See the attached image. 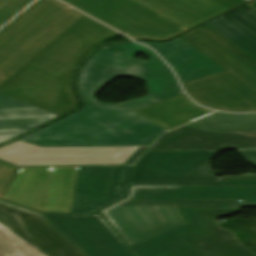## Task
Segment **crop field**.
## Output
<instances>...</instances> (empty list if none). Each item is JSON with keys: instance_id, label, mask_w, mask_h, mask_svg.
I'll return each instance as SVG.
<instances>
[{"instance_id": "8a807250", "label": "crop field", "mask_w": 256, "mask_h": 256, "mask_svg": "<svg viewBox=\"0 0 256 256\" xmlns=\"http://www.w3.org/2000/svg\"><path fill=\"white\" fill-rule=\"evenodd\" d=\"M247 206H256V187L132 186L128 198L101 213L132 246L184 224L177 208Z\"/></svg>"}, {"instance_id": "ac0d7876", "label": "crop field", "mask_w": 256, "mask_h": 256, "mask_svg": "<svg viewBox=\"0 0 256 256\" xmlns=\"http://www.w3.org/2000/svg\"><path fill=\"white\" fill-rule=\"evenodd\" d=\"M115 34L84 16L6 81L0 92L58 115L75 108L78 102L71 90L75 67L93 46Z\"/></svg>"}, {"instance_id": "34b2d1b8", "label": "crop field", "mask_w": 256, "mask_h": 256, "mask_svg": "<svg viewBox=\"0 0 256 256\" xmlns=\"http://www.w3.org/2000/svg\"><path fill=\"white\" fill-rule=\"evenodd\" d=\"M181 37L227 70L184 83L188 94L212 109L256 112V60L208 25Z\"/></svg>"}, {"instance_id": "412701ff", "label": "crop field", "mask_w": 256, "mask_h": 256, "mask_svg": "<svg viewBox=\"0 0 256 256\" xmlns=\"http://www.w3.org/2000/svg\"><path fill=\"white\" fill-rule=\"evenodd\" d=\"M167 129L133 113L85 103L20 141L40 147L150 146Z\"/></svg>"}, {"instance_id": "f4fd0767", "label": "crop field", "mask_w": 256, "mask_h": 256, "mask_svg": "<svg viewBox=\"0 0 256 256\" xmlns=\"http://www.w3.org/2000/svg\"><path fill=\"white\" fill-rule=\"evenodd\" d=\"M140 51L150 60L134 58ZM123 75L146 82L149 96L116 105L97 103L96 93L115 77ZM79 88L87 103L130 111L183 93L170 68L151 49L134 42L99 48L81 70Z\"/></svg>"}, {"instance_id": "dd49c442", "label": "crop field", "mask_w": 256, "mask_h": 256, "mask_svg": "<svg viewBox=\"0 0 256 256\" xmlns=\"http://www.w3.org/2000/svg\"><path fill=\"white\" fill-rule=\"evenodd\" d=\"M179 211L186 224L132 246L139 256H256L216 220L240 210Z\"/></svg>"}, {"instance_id": "e52e79f7", "label": "crop field", "mask_w": 256, "mask_h": 256, "mask_svg": "<svg viewBox=\"0 0 256 256\" xmlns=\"http://www.w3.org/2000/svg\"><path fill=\"white\" fill-rule=\"evenodd\" d=\"M82 16L55 0L36 2L0 31V73L11 77Z\"/></svg>"}, {"instance_id": "d8731c3e", "label": "crop field", "mask_w": 256, "mask_h": 256, "mask_svg": "<svg viewBox=\"0 0 256 256\" xmlns=\"http://www.w3.org/2000/svg\"><path fill=\"white\" fill-rule=\"evenodd\" d=\"M77 169L21 168L3 199L40 212L69 213Z\"/></svg>"}, {"instance_id": "5a996713", "label": "crop field", "mask_w": 256, "mask_h": 256, "mask_svg": "<svg viewBox=\"0 0 256 256\" xmlns=\"http://www.w3.org/2000/svg\"><path fill=\"white\" fill-rule=\"evenodd\" d=\"M218 152H148L131 185H219L209 165Z\"/></svg>"}, {"instance_id": "3316defc", "label": "crop field", "mask_w": 256, "mask_h": 256, "mask_svg": "<svg viewBox=\"0 0 256 256\" xmlns=\"http://www.w3.org/2000/svg\"><path fill=\"white\" fill-rule=\"evenodd\" d=\"M147 148H40L17 141L0 148V159L16 166L133 164Z\"/></svg>"}, {"instance_id": "28ad6ade", "label": "crop field", "mask_w": 256, "mask_h": 256, "mask_svg": "<svg viewBox=\"0 0 256 256\" xmlns=\"http://www.w3.org/2000/svg\"><path fill=\"white\" fill-rule=\"evenodd\" d=\"M132 38H168L184 28L131 0H62Z\"/></svg>"}, {"instance_id": "d1516ede", "label": "crop field", "mask_w": 256, "mask_h": 256, "mask_svg": "<svg viewBox=\"0 0 256 256\" xmlns=\"http://www.w3.org/2000/svg\"><path fill=\"white\" fill-rule=\"evenodd\" d=\"M0 225L45 256H87L40 213L0 201Z\"/></svg>"}, {"instance_id": "22f410ed", "label": "crop field", "mask_w": 256, "mask_h": 256, "mask_svg": "<svg viewBox=\"0 0 256 256\" xmlns=\"http://www.w3.org/2000/svg\"><path fill=\"white\" fill-rule=\"evenodd\" d=\"M134 168L79 167L70 213L90 214L123 198Z\"/></svg>"}, {"instance_id": "cbeb9de0", "label": "crop field", "mask_w": 256, "mask_h": 256, "mask_svg": "<svg viewBox=\"0 0 256 256\" xmlns=\"http://www.w3.org/2000/svg\"><path fill=\"white\" fill-rule=\"evenodd\" d=\"M43 215L53 222L88 256L135 255H133L99 213L92 216Z\"/></svg>"}, {"instance_id": "5142ce71", "label": "crop field", "mask_w": 256, "mask_h": 256, "mask_svg": "<svg viewBox=\"0 0 256 256\" xmlns=\"http://www.w3.org/2000/svg\"><path fill=\"white\" fill-rule=\"evenodd\" d=\"M256 147V132L212 133L188 126L164 134L150 151Z\"/></svg>"}, {"instance_id": "d9b57169", "label": "crop field", "mask_w": 256, "mask_h": 256, "mask_svg": "<svg viewBox=\"0 0 256 256\" xmlns=\"http://www.w3.org/2000/svg\"><path fill=\"white\" fill-rule=\"evenodd\" d=\"M183 41L177 38L163 44L140 42L153 47L173 67L183 83L225 71Z\"/></svg>"}, {"instance_id": "733c2abd", "label": "crop field", "mask_w": 256, "mask_h": 256, "mask_svg": "<svg viewBox=\"0 0 256 256\" xmlns=\"http://www.w3.org/2000/svg\"><path fill=\"white\" fill-rule=\"evenodd\" d=\"M157 14L184 27L202 23L227 8L212 0H133Z\"/></svg>"}, {"instance_id": "4a817a6b", "label": "crop field", "mask_w": 256, "mask_h": 256, "mask_svg": "<svg viewBox=\"0 0 256 256\" xmlns=\"http://www.w3.org/2000/svg\"><path fill=\"white\" fill-rule=\"evenodd\" d=\"M58 115L0 93V143Z\"/></svg>"}, {"instance_id": "bc2a9ffb", "label": "crop field", "mask_w": 256, "mask_h": 256, "mask_svg": "<svg viewBox=\"0 0 256 256\" xmlns=\"http://www.w3.org/2000/svg\"><path fill=\"white\" fill-rule=\"evenodd\" d=\"M134 112L171 130L213 111L197 106L182 94Z\"/></svg>"}, {"instance_id": "214f88e0", "label": "crop field", "mask_w": 256, "mask_h": 256, "mask_svg": "<svg viewBox=\"0 0 256 256\" xmlns=\"http://www.w3.org/2000/svg\"><path fill=\"white\" fill-rule=\"evenodd\" d=\"M188 126L212 132L256 131V114L234 115L216 113Z\"/></svg>"}, {"instance_id": "92a150f3", "label": "crop field", "mask_w": 256, "mask_h": 256, "mask_svg": "<svg viewBox=\"0 0 256 256\" xmlns=\"http://www.w3.org/2000/svg\"><path fill=\"white\" fill-rule=\"evenodd\" d=\"M209 25L256 59V42L254 40L222 18Z\"/></svg>"}, {"instance_id": "dafd665d", "label": "crop field", "mask_w": 256, "mask_h": 256, "mask_svg": "<svg viewBox=\"0 0 256 256\" xmlns=\"http://www.w3.org/2000/svg\"><path fill=\"white\" fill-rule=\"evenodd\" d=\"M0 256H44L0 226Z\"/></svg>"}, {"instance_id": "00972430", "label": "crop field", "mask_w": 256, "mask_h": 256, "mask_svg": "<svg viewBox=\"0 0 256 256\" xmlns=\"http://www.w3.org/2000/svg\"><path fill=\"white\" fill-rule=\"evenodd\" d=\"M223 18L256 41V10L251 6L248 5Z\"/></svg>"}, {"instance_id": "a9b5d70f", "label": "crop field", "mask_w": 256, "mask_h": 256, "mask_svg": "<svg viewBox=\"0 0 256 256\" xmlns=\"http://www.w3.org/2000/svg\"><path fill=\"white\" fill-rule=\"evenodd\" d=\"M33 0H0V27Z\"/></svg>"}, {"instance_id": "4177f3b9", "label": "crop field", "mask_w": 256, "mask_h": 256, "mask_svg": "<svg viewBox=\"0 0 256 256\" xmlns=\"http://www.w3.org/2000/svg\"><path fill=\"white\" fill-rule=\"evenodd\" d=\"M19 167L0 161V198Z\"/></svg>"}, {"instance_id": "730fd06b", "label": "crop field", "mask_w": 256, "mask_h": 256, "mask_svg": "<svg viewBox=\"0 0 256 256\" xmlns=\"http://www.w3.org/2000/svg\"><path fill=\"white\" fill-rule=\"evenodd\" d=\"M220 185H256V175L222 177L220 178Z\"/></svg>"}, {"instance_id": "eef30255", "label": "crop field", "mask_w": 256, "mask_h": 256, "mask_svg": "<svg viewBox=\"0 0 256 256\" xmlns=\"http://www.w3.org/2000/svg\"><path fill=\"white\" fill-rule=\"evenodd\" d=\"M237 153L241 155L248 163L256 166V151H245Z\"/></svg>"}, {"instance_id": "ae1a2a85", "label": "crop field", "mask_w": 256, "mask_h": 256, "mask_svg": "<svg viewBox=\"0 0 256 256\" xmlns=\"http://www.w3.org/2000/svg\"><path fill=\"white\" fill-rule=\"evenodd\" d=\"M214 1L229 9L239 6L242 3L246 2L245 0H214Z\"/></svg>"}, {"instance_id": "d3111659", "label": "crop field", "mask_w": 256, "mask_h": 256, "mask_svg": "<svg viewBox=\"0 0 256 256\" xmlns=\"http://www.w3.org/2000/svg\"><path fill=\"white\" fill-rule=\"evenodd\" d=\"M227 151H245V150H256V148H232V149H222Z\"/></svg>"}, {"instance_id": "750c4746", "label": "crop field", "mask_w": 256, "mask_h": 256, "mask_svg": "<svg viewBox=\"0 0 256 256\" xmlns=\"http://www.w3.org/2000/svg\"><path fill=\"white\" fill-rule=\"evenodd\" d=\"M8 79H9V77H6V76L0 74V86H1L6 80H8Z\"/></svg>"}, {"instance_id": "bd1437ed", "label": "crop field", "mask_w": 256, "mask_h": 256, "mask_svg": "<svg viewBox=\"0 0 256 256\" xmlns=\"http://www.w3.org/2000/svg\"><path fill=\"white\" fill-rule=\"evenodd\" d=\"M253 8H255L256 9V2L255 3H252V4H250Z\"/></svg>"}, {"instance_id": "1d83c4d3", "label": "crop field", "mask_w": 256, "mask_h": 256, "mask_svg": "<svg viewBox=\"0 0 256 256\" xmlns=\"http://www.w3.org/2000/svg\"><path fill=\"white\" fill-rule=\"evenodd\" d=\"M247 1H249V0H247Z\"/></svg>"}]
</instances>
